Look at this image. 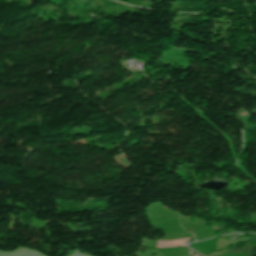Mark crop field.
<instances>
[{
	"label": "crop field",
	"instance_id": "obj_1",
	"mask_svg": "<svg viewBox=\"0 0 256 256\" xmlns=\"http://www.w3.org/2000/svg\"><path fill=\"white\" fill-rule=\"evenodd\" d=\"M187 239H177L171 241H158L156 247H173V246H183Z\"/></svg>",
	"mask_w": 256,
	"mask_h": 256
}]
</instances>
